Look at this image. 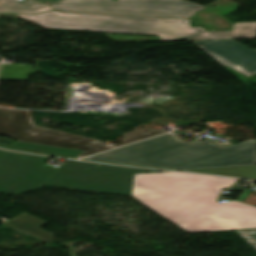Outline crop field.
Instances as JSON below:
<instances>
[{
	"label": "crop field",
	"instance_id": "1",
	"mask_svg": "<svg viewBox=\"0 0 256 256\" xmlns=\"http://www.w3.org/2000/svg\"><path fill=\"white\" fill-rule=\"evenodd\" d=\"M233 178L160 172L135 175L132 197L191 233L256 228V207L216 202Z\"/></svg>",
	"mask_w": 256,
	"mask_h": 256
},
{
	"label": "crop field",
	"instance_id": "2",
	"mask_svg": "<svg viewBox=\"0 0 256 256\" xmlns=\"http://www.w3.org/2000/svg\"><path fill=\"white\" fill-rule=\"evenodd\" d=\"M48 157L0 151V193H22L43 186L131 196L134 174L160 172L67 160L57 170Z\"/></svg>",
	"mask_w": 256,
	"mask_h": 256
},
{
	"label": "crop field",
	"instance_id": "3",
	"mask_svg": "<svg viewBox=\"0 0 256 256\" xmlns=\"http://www.w3.org/2000/svg\"><path fill=\"white\" fill-rule=\"evenodd\" d=\"M85 160L144 167L193 170L256 165V143L219 147L206 140L184 142L172 134L154 137Z\"/></svg>",
	"mask_w": 256,
	"mask_h": 256
},
{
	"label": "crop field",
	"instance_id": "4",
	"mask_svg": "<svg viewBox=\"0 0 256 256\" xmlns=\"http://www.w3.org/2000/svg\"><path fill=\"white\" fill-rule=\"evenodd\" d=\"M45 28L158 35L162 41L256 38V23L235 24L233 31L191 28L188 19L60 13L17 15Z\"/></svg>",
	"mask_w": 256,
	"mask_h": 256
},
{
	"label": "crop field",
	"instance_id": "5",
	"mask_svg": "<svg viewBox=\"0 0 256 256\" xmlns=\"http://www.w3.org/2000/svg\"><path fill=\"white\" fill-rule=\"evenodd\" d=\"M0 135L21 142L84 150L77 158L111 149L100 140L34 125L29 111L0 109Z\"/></svg>",
	"mask_w": 256,
	"mask_h": 256
},
{
	"label": "crop field",
	"instance_id": "6",
	"mask_svg": "<svg viewBox=\"0 0 256 256\" xmlns=\"http://www.w3.org/2000/svg\"><path fill=\"white\" fill-rule=\"evenodd\" d=\"M48 1V0H36ZM63 12L107 13L189 18L203 7L182 0H58L50 4Z\"/></svg>",
	"mask_w": 256,
	"mask_h": 256
},
{
	"label": "crop field",
	"instance_id": "7",
	"mask_svg": "<svg viewBox=\"0 0 256 256\" xmlns=\"http://www.w3.org/2000/svg\"><path fill=\"white\" fill-rule=\"evenodd\" d=\"M223 66L251 77L256 74V50H251L236 41L192 42Z\"/></svg>",
	"mask_w": 256,
	"mask_h": 256
},
{
	"label": "crop field",
	"instance_id": "8",
	"mask_svg": "<svg viewBox=\"0 0 256 256\" xmlns=\"http://www.w3.org/2000/svg\"><path fill=\"white\" fill-rule=\"evenodd\" d=\"M45 224L47 223L39 221L24 213L19 217L5 223L4 225L11 227L17 231L31 234L39 239L46 241L47 243H51L53 242V235L38 229V227Z\"/></svg>",
	"mask_w": 256,
	"mask_h": 256
},
{
	"label": "crop field",
	"instance_id": "9",
	"mask_svg": "<svg viewBox=\"0 0 256 256\" xmlns=\"http://www.w3.org/2000/svg\"><path fill=\"white\" fill-rule=\"evenodd\" d=\"M50 10L51 9L45 4L29 0H0V13L35 14Z\"/></svg>",
	"mask_w": 256,
	"mask_h": 256
},
{
	"label": "crop field",
	"instance_id": "10",
	"mask_svg": "<svg viewBox=\"0 0 256 256\" xmlns=\"http://www.w3.org/2000/svg\"><path fill=\"white\" fill-rule=\"evenodd\" d=\"M0 146L6 149H11V150L43 153V154L65 156V157H72V158H76L82 152L80 150L57 148V147L35 145V144H28V143H21V142H15L12 146H6L1 144Z\"/></svg>",
	"mask_w": 256,
	"mask_h": 256
},
{
	"label": "crop field",
	"instance_id": "11",
	"mask_svg": "<svg viewBox=\"0 0 256 256\" xmlns=\"http://www.w3.org/2000/svg\"><path fill=\"white\" fill-rule=\"evenodd\" d=\"M31 65L25 64H2L0 80H27Z\"/></svg>",
	"mask_w": 256,
	"mask_h": 256
},
{
	"label": "crop field",
	"instance_id": "12",
	"mask_svg": "<svg viewBox=\"0 0 256 256\" xmlns=\"http://www.w3.org/2000/svg\"><path fill=\"white\" fill-rule=\"evenodd\" d=\"M187 172L236 176V177H244V178H256V166L222 168V169H207V170H193V171H187Z\"/></svg>",
	"mask_w": 256,
	"mask_h": 256
},
{
	"label": "crop field",
	"instance_id": "13",
	"mask_svg": "<svg viewBox=\"0 0 256 256\" xmlns=\"http://www.w3.org/2000/svg\"><path fill=\"white\" fill-rule=\"evenodd\" d=\"M161 133H165V132L161 130H155V129H149V128L130 131L125 133L124 140L122 143L116 144L114 146L118 147L124 144H128V143H131L140 139H144L153 135L161 134Z\"/></svg>",
	"mask_w": 256,
	"mask_h": 256
},
{
	"label": "crop field",
	"instance_id": "14",
	"mask_svg": "<svg viewBox=\"0 0 256 256\" xmlns=\"http://www.w3.org/2000/svg\"><path fill=\"white\" fill-rule=\"evenodd\" d=\"M236 233L256 250V229L238 230Z\"/></svg>",
	"mask_w": 256,
	"mask_h": 256
},
{
	"label": "crop field",
	"instance_id": "15",
	"mask_svg": "<svg viewBox=\"0 0 256 256\" xmlns=\"http://www.w3.org/2000/svg\"><path fill=\"white\" fill-rule=\"evenodd\" d=\"M235 190H241V191H245L238 199L237 201H241L243 202L245 200V198L250 194L251 190H247V189H240V188H234Z\"/></svg>",
	"mask_w": 256,
	"mask_h": 256
}]
</instances>
